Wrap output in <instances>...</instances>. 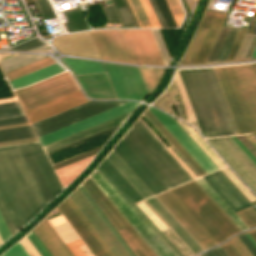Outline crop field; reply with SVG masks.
<instances>
[{
  "label": "crop field",
  "instance_id": "56",
  "mask_svg": "<svg viewBox=\"0 0 256 256\" xmlns=\"http://www.w3.org/2000/svg\"><path fill=\"white\" fill-rule=\"evenodd\" d=\"M0 213H1L5 223L7 225L11 235L14 234L15 232H17L13 223H12V221H11V219H10V217H9V215H8V213H7V211H6V209H5V207H4V205H3V203H2V201H1V199H0Z\"/></svg>",
  "mask_w": 256,
  "mask_h": 256
},
{
  "label": "crop field",
  "instance_id": "15",
  "mask_svg": "<svg viewBox=\"0 0 256 256\" xmlns=\"http://www.w3.org/2000/svg\"><path fill=\"white\" fill-rule=\"evenodd\" d=\"M71 199L90 222L108 248L115 256H129L122 245L118 242L112 232L108 229L99 215L95 212L89 202L85 199L82 193L77 188L70 195Z\"/></svg>",
  "mask_w": 256,
  "mask_h": 256
},
{
  "label": "crop field",
  "instance_id": "57",
  "mask_svg": "<svg viewBox=\"0 0 256 256\" xmlns=\"http://www.w3.org/2000/svg\"><path fill=\"white\" fill-rule=\"evenodd\" d=\"M230 241L236 247V249L241 253L242 256H252L250 252L246 249V247L242 244V242L238 239L237 236H235Z\"/></svg>",
  "mask_w": 256,
  "mask_h": 256
},
{
  "label": "crop field",
  "instance_id": "12",
  "mask_svg": "<svg viewBox=\"0 0 256 256\" xmlns=\"http://www.w3.org/2000/svg\"><path fill=\"white\" fill-rule=\"evenodd\" d=\"M1 150L35 215L46 204L17 146L2 147Z\"/></svg>",
  "mask_w": 256,
  "mask_h": 256
},
{
  "label": "crop field",
  "instance_id": "18",
  "mask_svg": "<svg viewBox=\"0 0 256 256\" xmlns=\"http://www.w3.org/2000/svg\"><path fill=\"white\" fill-rule=\"evenodd\" d=\"M138 104L139 103H137V102H129L127 104L121 105L119 107H116L109 111L103 112L96 116L90 117L88 119H85L78 123L72 124L65 128L59 129V130L49 133L47 135L41 136L38 139H39L41 145L43 146L45 144H48V143L58 140L60 138L66 137L68 135H71L73 133H76V132L86 129L88 127H91V126L101 123L103 121L109 120L111 118H114V117L124 114L126 112H129V111L135 109Z\"/></svg>",
  "mask_w": 256,
  "mask_h": 256
},
{
  "label": "crop field",
  "instance_id": "45",
  "mask_svg": "<svg viewBox=\"0 0 256 256\" xmlns=\"http://www.w3.org/2000/svg\"><path fill=\"white\" fill-rule=\"evenodd\" d=\"M21 115L24 114L17 101L0 104V119Z\"/></svg>",
  "mask_w": 256,
  "mask_h": 256
},
{
  "label": "crop field",
  "instance_id": "52",
  "mask_svg": "<svg viewBox=\"0 0 256 256\" xmlns=\"http://www.w3.org/2000/svg\"><path fill=\"white\" fill-rule=\"evenodd\" d=\"M246 31L247 30H243V29L239 30V32H238V34H237V36H236V38L233 42V45H232V47H231V49H230V51L227 55L226 60H233L234 59Z\"/></svg>",
  "mask_w": 256,
  "mask_h": 256
},
{
  "label": "crop field",
  "instance_id": "23",
  "mask_svg": "<svg viewBox=\"0 0 256 256\" xmlns=\"http://www.w3.org/2000/svg\"><path fill=\"white\" fill-rule=\"evenodd\" d=\"M32 231L51 256H73L46 218Z\"/></svg>",
  "mask_w": 256,
  "mask_h": 256
},
{
  "label": "crop field",
  "instance_id": "48",
  "mask_svg": "<svg viewBox=\"0 0 256 256\" xmlns=\"http://www.w3.org/2000/svg\"><path fill=\"white\" fill-rule=\"evenodd\" d=\"M236 214L248 228L256 226V212L252 207L238 211Z\"/></svg>",
  "mask_w": 256,
  "mask_h": 256
},
{
  "label": "crop field",
  "instance_id": "10",
  "mask_svg": "<svg viewBox=\"0 0 256 256\" xmlns=\"http://www.w3.org/2000/svg\"><path fill=\"white\" fill-rule=\"evenodd\" d=\"M103 64L118 99L143 100L148 95L137 67Z\"/></svg>",
  "mask_w": 256,
  "mask_h": 256
},
{
  "label": "crop field",
  "instance_id": "5",
  "mask_svg": "<svg viewBox=\"0 0 256 256\" xmlns=\"http://www.w3.org/2000/svg\"><path fill=\"white\" fill-rule=\"evenodd\" d=\"M90 177L156 256H178L97 169Z\"/></svg>",
  "mask_w": 256,
  "mask_h": 256
},
{
  "label": "crop field",
  "instance_id": "29",
  "mask_svg": "<svg viewBox=\"0 0 256 256\" xmlns=\"http://www.w3.org/2000/svg\"><path fill=\"white\" fill-rule=\"evenodd\" d=\"M28 146L55 197L61 191L62 188L51 166L49 165L39 143H29Z\"/></svg>",
  "mask_w": 256,
  "mask_h": 256
},
{
  "label": "crop field",
  "instance_id": "43",
  "mask_svg": "<svg viewBox=\"0 0 256 256\" xmlns=\"http://www.w3.org/2000/svg\"><path fill=\"white\" fill-rule=\"evenodd\" d=\"M65 200L73 209V211L76 213V215L79 217V219L82 221V223L85 225V227L88 229V231L91 233V235L95 238V240L98 242V244L107 254V256H114L111 253V251L107 248V246L104 244V242L101 240V238L98 236V234L95 232V230L92 228V226L89 224V222L85 219V217L79 211V209L76 207V205L73 203V201L70 199V197L68 196Z\"/></svg>",
  "mask_w": 256,
  "mask_h": 256
},
{
  "label": "crop field",
  "instance_id": "28",
  "mask_svg": "<svg viewBox=\"0 0 256 256\" xmlns=\"http://www.w3.org/2000/svg\"><path fill=\"white\" fill-rule=\"evenodd\" d=\"M87 94L95 98H114L104 74L78 77Z\"/></svg>",
  "mask_w": 256,
  "mask_h": 256
},
{
  "label": "crop field",
  "instance_id": "50",
  "mask_svg": "<svg viewBox=\"0 0 256 256\" xmlns=\"http://www.w3.org/2000/svg\"><path fill=\"white\" fill-rule=\"evenodd\" d=\"M151 31H152L153 36L155 38V41L157 43V46H158V49H159L160 54L162 56V59L164 61V64L168 65L171 57H170V55H169V53L167 51V48H166V46H165V44H164V42L162 40V37H161V35H160L158 30H151Z\"/></svg>",
  "mask_w": 256,
  "mask_h": 256
},
{
  "label": "crop field",
  "instance_id": "63",
  "mask_svg": "<svg viewBox=\"0 0 256 256\" xmlns=\"http://www.w3.org/2000/svg\"><path fill=\"white\" fill-rule=\"evenodd\" d=\"M37 141L36 138L0 143V146Z\"/></svg>",
  "mask_w": 256,
  "mask_h": 256
},
{
  "label": "crop field",
  "instance_id": "35",
  "mask_svg": "<svg viewBox=\"0 0 256 256\" xmlns=\"http://www.w3.org/2000/svg\"><path fill=\"white\" fill-rule=\"evenodd\" d=\"M63 69L59 67L56 63L49 65L47 67H44L42 69H39L37 71H34L30 74H27L25 76H22L20 78H17L15 80L10 81V85L12 89L27 86L29 84H32L34 82H37L41 79H44L46 77H49L53 74H56Z\"/></svg>",
  "mask_w": 256,
  "mask_h": 256
},
{
  "label": "crop field",
  "instance_id": "54",
  "mask_svg": "<svg viewBox=\"0 0 256 256\" xmlns=\"http://www.w3.org/2000/svg\"><path fill=\"white\" fill-rule=\"evenodd\" d=\"M1 256H29L20 243L15 244Z\"/></svg>",
  "mask_w": 256,
  "mask_h": 256
},
{
  "label": "crop field",
  "instance_id": "46",
  "mask_svg": "<svg viewBox=\"0 0 256 256\" xmlns=\"http://www.w3.org/2000/svg\"><path fill=\"white\" fill-rule=\"evenodd\" d=\"M0 196H1L5 206L7 208V210L9 212L17 230H19L23 225H22V223H21V221H20V219H19V217H18V215H17V213H16V211H15V209H14L6 191H5V189L3 188L1 182H0Z\"/></svg>",
  "mask_w": 256,
  "mask_h": 256
},
{
  "label": "crop field",
  "instance_id": "39",
  "mask_svg": "<svg viewBox=\"0 0 256 256\" xmlns=\"http://www.w3.org/2000/svg\"><path fill=\"white\" fill-rule=\"evenodd\" d=\"M35 137L30 126L0 129V142Z\"/></svg>",
  "mask_w": 256,
  "mask_h": 256
},
{
  "label": "crop field",
  "instance_id": "71",
  "mask_svg": "<svg viewBox=\"0 0 256 256\" xmlns=\"http://www.w3.org/2000/svg\"><path fill=\"white\" fill-rule=\"evenodd\" d=\"M199 256H205V254L203 253V254H201V255H199Z\"/></svg>",
  "mask_w": 256,
  "mask_h": 256
},
{
  "label": "crop field",
  "instance_id": "24",
  "mask_svg": "<svg viewBox=\"0 0 256 256\" xmlns=\"http://www.w3.org/2000/svg\"><path fill=\"white\" fill-rule=\"evenodd\" d=\"M57 208L79 234L85 245L89 248L94 256H106L65 200Z\"/></svg>",
  "mask_w": 256,
  "mask_h": 256
},
{
  "label": "crop field",
  "instance_id": "69",
  "mask_svg": "<svg viewBox=\"0 0 256 256\" xmlns=\"http://www.w3.org/2000/svg\"><path fill=\"white\" fill-rule=\"evenodd\" d=\"M246 236L250 239V241L254 244V246L256 247V243L252 240V238L248 235V233L246 234Z\"/></svg>",
  "mask_w": 256,
  "mask_h": 256
},
{
  "label": "crop field",
  "instance_id": "33",
  "mask_svg": "<svg viewBox=\"0 0 256 256\" xmlns=\"http://www.w3.org/2000/svg\"><path fill=\"white\" fill-rule=\"evenodd\" d=\"M106 158L126 178V180L139 192V194L144 199L152 196V194L148 191V189L137 179V177L127 168V166L116 156V154L112 150Z\"/></svg>",
  "mask_w": 256,
  "mask_h": 256
},
{
  "label": "crop field",
  "instance_id": "22",
  "mask_svg": "<svg viewBox=\"0 0 256 256\" xmlns=\"http://www.w3.org/2000/svg\"><path fill=\"white\" fill-rule=\"evenodd\" d=\"M84 102H86V99L80 90H78L38 107L27 110L25 111V114L32 124Z\"/></svg>",
  "mask_w": 256,
  "mask_h": 256
},
{
  "label": "crop field",
  "instance_id": "64",
  "mask_svg": "<svg viewBox=\"0 0 256 256\" xmlns=\"http://www.w3.org/2000/svg\"><path fill=\"white\" fill-rule=\"evenodd\" d=\"M237 144L238 146L250 157V159L256 164L255 158L247 151V149L238 141V139L235 136L231 137Z\"/></svg>",
  "mask_w": 256,
  "mask_h": 256
},
{
  "label": "crop field",
  "instance_id": "16",
  "mask_svg": "<svg viewBox=\"0 0 256 256\" xmlns=\"http://www.w3.org/2000/svg\"><path fill=\"white\" fill-rule=\"evenodd\" d=\"M137 63L164 65L150 30H123Z\"/></svg>",
  "mask_w": 256,
  "mask_h": 256
},
{
  "label": "crop field",
  "instance_id": "65",
  "mask_svg": "<svg viewBox=\"0 0 256 256\" xmlns=\"http://www.w3.org/2000/svg\"><path fill=\"white\" fill-rule=\"evenodd\" d=\"M206 254V256H219V254L215 251V249H211V250H208L206 252H204Z\"/></svg>",
  "mask_w": 256,
  "mask_h": 256
},
{
  "label": "crop field",
  "instance_id": "20",
  "mask_svg": "<svg viewBox=\"0 0 256 256\" xmlns=\"http://www.w3.org/2000/svg\"><path fill=\"white\" fill-rule=\"evenodd\" d=\"M120 126V125H119ZM119 126L47 153L51 165L105 144Z\"/></svg>",
  "mask_w": 256,
  "mask_h": 256
},
{
  "label": "crop field",
  "instance_id": "27",
  "mask_svg": "<svg viewBox=\"0 0 256 256\" xmlns=\"http://www.w3.org/2000/svg\"><path fill=\"white\" fill-rule=\"evenodd\" d=\"M48 221L51 223L52 226L66 222L62 215L48 219ZM53 227L66 244L79 238L78 235L71 228V226L68 224V222ZM80 245H83L81 239L67 244V246L75 256H88Z\"/></svg>",
  "mask_w": 256,
  "mask_h": 256
},
{
  "label": "crop field",
  "instance_id": "26",
  "mask_svg": "<svg viewBox=\"0 0 256 256\" xmlns=\"http://www.w3.org/2000/svg\"><path fill=\"white\" fill-rule=\"evenodd\" d=\"M130 113L131 112L126 113L124 115H121L119 117H116L114 119H111L109 121L103 122V123L98 124L96 126H93L91 128H88L86 130H83L81 132L73 134V135L68 136L66 138H63L61 140L55 141V142L50 143L48 145H45V146H43V148H44L45 152L47 153L51 150L59 148V147H61L63 145H66L68 143L74 142L76 140L82 139L84 137L90 136V135L95 134L97 132H100V131H103V130L108 129L110 127H113L115 125H118V124L122 123L130 115Z\"/></svg>",
  "mask_w": 256,
  "mask_h": 256
},
{
  "label": "crop field",
  "instance_id": "49",
  "mask_svg": "<svg viewBox=\"0 0 256 256\" xmlns=\"http://www.w3.org/2000/svg\"><path fill=\"white\" fill-rule=\"evenodd\" d=\"M230 28L222 27L206 62L214 61Z\"/></svg>",
  "mask_w": 256,
  "mask_h": 256
},
{
  "label": "crop field",
  "instance_id": "1",
  "mask_svg": "<svg viewBox=\"0 0 256 256\" xmlns=\"http://www.w3.org/2000/svg\"><path fill=\"white\" fill-rule=\"evenodd\" d=\"M178 72L203 137L237 134L213 69Z\"/></svg>",
  "mask_w": 256,
  "mask_h": 256
},
{
  "label": "crop field",
  "instance_id": "55",
  "mask_svg": "<svg viewBox=\"0 0 256 256\" xmlns=\"http://www.w3.org/2000/svg\"><path fill=\"white\" fill-rule=\"evenodd\" d=\"M43 44L38 37L34 38V39H31L29 41H26L24 43H21L17 46H14L12 48H9V49H16V50H28L30 48H33V47H36L38 45H41Z\"/></svg>",
  "mask_w": 256,
  "mask_h": 256
},
{
  "label": "crop field",
  "instance_id": "42",
  "mask_svg": "<svg viewBox=\"0 0 256 256\" xmlns=\"http://www.w3.org/2000/svg\"><path fill=\"white\" fill-rule=\"evenodd\" d=\"M206 30L207 29H203V28H198L181 64H189V63H192L195 56H196V53L199 49V46L203 40V37L206 33ZM208 31V30H207Z\"/></svg>",
  "mask_w": 256,
  "mask_h": 256
},
{
  "label": "crop field",
  "instance_id": "36",
  "mask_svg": "<svg viewBox=\"0 0 256 256\" xmlns=\"http://www.w3.org/2000/svg\"><path fill=\"white\" fill-rule=\"evenodd\" d=\"M61 61L72 70L74 75L105 72L99 62L74 58H61Z\"/></svg>",
  "mask_w": 256,
  "mask_h": 256
},
{
  "label": "crop field",
  "instance_id": "47",
  "mask_svg": "<svg viewBox=\"0 0 256 256\" xmlns=\"http://www.w3.org/2000/svg\"><path fill=\"white\" fill-rule=\"evenodd\" d=\"M239 29L231 28L215 61L224 60ZM226 60V59H225Z\"/></svg>",
  "mask_w": 256,
  "mask_h": 256
},
{
  "label": "crop field",
  "instance_id": "8",
  "mask_svg": "<svg viewBox=\"0 0 256 256\" xmlns=\"http://www.w3.org/2000/svg\"><path fill=\"white\" fill-rule=\"evenodd\" d=\"M127 102L123 101H90L50 118L32 124L37 137L78 122L90 116L109 110Z\"/></svg>",
  "mask_w": 256,
  "mask_h": 256
},
{
  "label": "crop field",
  "instance_id": "40",
  "mask_svg": "<svg viewBox=\"0 0 256 256\" xmlns=\"http://www.w3.org/2000/svg\"><path fill=\"white\" fill-rule=\"evenodd\" d=\"M52 63H54V60L49 58V57H47L45 59H42V60H39V61L34 62L32 64H29L27 66L21 67L19 69L11 71V72H8L5 75H6L7 79H8V81H10L12 79L20 77L22 75H25L27 73H30V72H32L34 70H37L39 68H42V67L47 66V65L52 64Z\"/></svg>",
  "mask_w": 256,
  "mask_h": 256
},
{
  "label": "crop field",
  "instance_id": "14",
  "mask_svg": "<svg viewBox=\"0 0 256 256\" xmlns=\"http://www.w3.org/2000/svg\"><path fill=\"white\" fill-rule=\"evenodd\" d=\"M112 150L153 195L167 190L164 184L156 177V175L133 151V149L123 140V138Z\"/></svg>",
  "mask_w": 256,
  "mask_h": 256
},
{
  "label": "crop field",
  "instance_id": "66",
  "mask_svg": "<svg viewBox=\"0 0 256 256\" xmlns=\"http://www.w3.org/2000/svg\"><path fill=\"white\" fill-rule=\"evenodd\" d=\"M248 233L250 234V236L254 239V241L256 242V229L248 231Z\"/></svg>",
  "mask_w": 256,
  "mask_h": 256
},
{
  "label": "crop field",
  "instance_id": "11",
  "mask_svg": "<svg viewBox=\"0 0 256 256\" xmlns=\"http://www.w3.org/2000/svg\"><path fill=\"white\" fill-rule=\"evenodd\" d=\"M156 198L203 250L217 244L212 236L200 225V223L169 190L156 196Z\"/></svg>",
  "mask_w": 256,
  "mask_h": 256
},
{
  "label": "crop field",
  "instance_id": "62",
  "mask_svg": "<svg viewBox=\"0 0 256 256\" xmlns=\"http://www.w3.org/2000/svg\"><path fill=\"white\" fill-rule=\"evenodd\" d=\"M214 14L215 13H213V12L206 11L205 15H204V17H203V19H202V21H201L199 26L208 28V26H209V24H210V22H211V20H212V18L214 16Z\"/></svg>",
  "mask_w": 256,
  "mask_h": 256
},
{
  "label": "crop field",
  "instance_id": "38",
  "mask_svg": "<svg viewBox=\"0 0 256 256\" xmlns=\"http://www.w3.org/2000/svg\"><path fill=\"white\" fill-rule=\"evenodd\" d=\"M47 56L41 55H27V54H16L12 57L0 61V65L4 73L24 66L26 64L32 63L39 59L45 58Z\"/></svg>",
  "mask_w": 256,
  "mask_h": 256
},
{
  "label": "crop field",
  "instance_id": "68",
  "mask_svg": "<svg viewBox=\"0 0 256 256\" xmlns=\"http://www.w3.org/2000/svg\"><path fill=\"white\" fill-rule=\"evenodd\" d=\"M14 100H16V98L0 100V102H7V101H14Z\"/></svg>",
  "mask_w": 256,
  "mask_h": 256
},
{
  "label": "crop field",
  "instance_id": "31",
  "mask_svg": "<svg viewBox=\"0 0 256 256\" xmlns=\"http://www.w3.org/2000/svg\"><path fill=\"white\" fill-rule=\"evenodd\" d=\"M46 203H48L51 199H53V195L41 173V171L39 170L27 144H21V145H18Z\"/></svg>",
  "mask_w": 256,
  "mask_h": 256
},
{
  "label": "crop field",
  "instance_id": "58",
  "mask_svg": "<svg viewBox=\"0 0 256 256\" xmlns=\"http://www.w3.org/2000/svg\"><path fill=\"white\" fill-rule=\"evenodd\" d=\"M25 122H27L25 116L8 118V119L0 120V126L19 124V123H25Z\"/></svg>",
  "mask_w": 256,
  "mask_h": 256
},
{
  "label": "crop field",
  "instance_id": "34",
  "mask_svg": "<svg viewBox=\"0 0 256 256\" xmlns=\"http://www.w3.org/2000/svg\"><path fill=\"white\" fill-rule=\"evenodd\" d=\"M99 166L134 203L143 200V198L137 193V191L124 179V177L111 165V163L106 158Z\"/></svg>",
  "mask_w": 256,
  "mask_h": 256
},
{
  "label": "crop field",
  "instance_id": "17",
  "mask_svg": "<svg viewBox=\"0 0 256 256\" xmlns=\"http://www.w3.org/2000/svg\"><path fill=\"white\" fill-rule=\"evenodd\" d=\"M149 109L164 124V126L174 135L183 147L193 156V158L209 173L218 169L213 161L201 150V148L189 137V135L170 116L159 112L151 107Z\"/></svg>",
  "mask_w": 256,
  "mask_h": 256
},
{
  "label": "crop field",
  "instance_id": "60",
  "mask_svg": "<svg viewBox=\"0 0 256 256\" xmlns=\"http://www.w3.org/2000/svg\"><path fill=\"white\" fill-rule=\"evenodd\" d=\"M239 239L243 242V244L247 247V249L252 253L253 256H256V249L255 247L250 243V241L246 238L244 233L238 235Z\"/></svg>",
  "mask_w": 256,
  "mask_h": 256
},
{
  "label": "crop field",
  "instance_id": "9",
  "mask_svg": "<svg viewBox=\"0 0 256 256\" xmlns=\"http://www.w3.org/2000/svg\"><path fill=\"white\" fill-rule=\"evenodd\" d=\"M228 165L256 193V165L230 137L207 139Z\"/></svg>",
  "mask_w": 256,
  "mask_h": 256
},
{
  "label": "crop field",
  "instance_id": "61",
  "mask_svg": "<svg viewBox=\"0 0 256 256\" xmlns=\"http://www.w3.org/2000/svg\"><path fill=\"white\" fill-rule=\"evenodd\" d=\"M0 236L3 240V242L11 236L1 215H0Z\"/></svg>",
  "mask_w": 256,
  "mask_h": 256
},
{
  "label": "crop field",
  "instance_id": "30",
  "mask_svg": "<svg viewBox=\"0 0 256 256\" xmlns=\"http://www.w3.org/2000/svg\"><path fill=\"white\" fill-rule=\"evenodd\" d=\"M143 114L169 141V143L178 151V153L187 161V163L196 171L199 176L206 174L201 166L189 155V153L177 142V140L165 129V127L153 116V114L148 109Z\"/></svg>",
  "mask_w": 256,
  "mask_h": 256
},
{
  "label": "crop field",
  "instance_id": "32",
  "mask_svg": "<svg viewBox=\"0 0 256 256\" xmlns=\"http://www.w3.org/2000/svg\"><path fill=\"white\" fill-rule=\"evenodd\" d=\"M227 15L216 13L193 63L205 62Z\"/></svg>",
  "mask_w": 256,
  "mask_h": 256
},
{
  "label": "crop field",
  "instance_id": "37",
  "mask_svg": "<svg viewBox=\"0 0 256 256\" xmlns=\"http://www.w3.org/2000/svg\"><path fill=\"white\" fill-rule=\"evenodd\" d=\"M196 181L214 200V202L222 209V211L230 218V220L237 226L240 231L247 229L243 222L234 214V212L225 204V202L215 193V191L206 183V181L202 177L196 179Z\"/></svg>",
  "mask_w": 256,
  "mask_h": 256
},
{
  "label": "crop field",
  "instance_id": "4",
  "mask_svg": "<svg viewBox=\"0 0 256 256\" xmlns=\"http://www.w3.org/2000/svg\"><path fill=\"white\" fill-rule=\"evenodd\" d=\"M171 192L218 243L239 232L195 180L173 188Z\"/></svg>",
  "mask_w": 256,
  "mask_h": 256
},
{
  "label": "crop field",
  "instance_id": "59",
  "mask_svg": "<svg viewBox=\"0 0 256 256\" xmlns=\"http://www.w3.org/2000/svg\"><path fill=\"white\" fill-rule=\"evenodd\" d=\"M221 247L228 256H241L230 241L221 245Z\"/></svg>",
  "mask_w": 256,
  "mask_h": 256
},
{
  "label": "crop field",
  "instance_id": "7",
  "mask_svg": "<svg viewBox=\"0 0 256 256\" xmlns=\"http://www.w3.org/2000/svg\"><path fill=\"white\" fill-rule=\"evenodd\" d=\"M78 90L68 72L51 77L28 87L15 90L14 93L25 111L65 94Z\"/></svg>",
  "mask_w": 256,
  "mask_h": 256
},
{
  "label": "crop field",
  "instance_id": "3",
  "mask_svg": "<svg viewBox=\"0 0 256 256\" xmlns=\"http://www.w3.org/2000/svg\"><path fill=\"white\" fill-rule=\"evenodd\" d=\"M123 138L168 189L192 180L139 119Z\"/></svg>",
  "mask_w": 256,
  "mask_h": 256
},
{
  "label": "crop field",
  "instance_id": "25",
  "mask_svg": "<svg viewBox=\"0 0 256 256\" xmlns=\"http://www.w3.org/2000/svg\"><path fill=\"white\" fill-rule=\"evenodd\" d=\"M146 201L170 226V228L181 238V240L191 249V251L195 255L203 251L155 197L146 199Z\"/></svg>",
  "mask_w": 256,
  "mask_h": 256
},
{
  "label": "crop field",
  "instance_id": "21",
  "mask_svg": "<svg viewBox=\"0 0 256 256\" xmlns=\"http://www.w3.org/2000/svg\"><path fill=\"white\" fill-rule=\"evenodd\" d=\"M203 178L234 212L251 206L247 199L236 189V187L220 170L205 175Z\"/></svg>",
  "mask_w": 256,
  "mask_h": 256
},
{
  "label": "crop field",
  "instance_id": "53",
  "mask_svg": "<svg viewBox=\"0 0 256 256\" xmlns=\"http://www.w3.org/2000/svg\"><path fill=\"white\" fill-rule=\"evenodd\" d=\"M26 237L28 238V240L31 242V244L34 246V248L38 251V253L41 256H50L49 253L42 246V244L39 242V240L36 238V236L33 234L32 231Z\"/></svg>",
  "mask_w": 256,
  "mask_h": 256
},
{
  "label": "crop field",
  "instance_id": "44",
  "mask_svg": "<svg viewBox=\"0 0 256 256\" xmlns=\"http://www.w3.org/2000/svg\"><path fill=\"white\" fill-rule=\"evenodd\" d=\"M80 191L83 193V195L86 197V199L90 202V204L93 206V208L96 210V212L100 215V217L103 219V221L106 223V225L110 228V230L113 232V234L116 236V238L119 240V242L123 245V247L126 249V251L129 253L130 256H134V254L130 251V249L127 247V245L124 243V241L121 239V237L118 235V233L115 231V229L112 227V225L109 223V221L106 219V217L103 215V213L100 211V209L97 207V205L94 203V201L91 199V197L88 195V193L85 191V189L81 186L78 187Z\"/></svg>",
  "mask_w": 256,
  "mask_h": 256
},
{
  "label": "crop field",
  "instance_id": "70",
  "mask_svg": "<svg viewBox=\"0 0 256 256\" xmlns=\"http://www.w3.org/2000/svg\"><path fill=\"white\" fill-rule=\"evenodd\" d=\"M251 58H256V49H255V51H254V53H253Z\"/></svg>",
  "mask_w": 256,
  "mask_h": 256
},
{
  "label": "crop field",
  "instance_id": "41",
  "mask_svg": "<svg viewBox=\"0 0 256 256\" xmlns=\"http://www.w3.org/2000/svg\"><path fill=\"white\" fill-rule=\"evenodd\" d=\"M105 178L120 192V194L135 208V210L150 224V226L164 239V241L179 255L183 256L177 248L160 232V230L142 213V211L124 194V192L107 176V174L98 166L97 168Z\"/></svg>",
  "mask_w": 256,
  "mask_h": 256
},
{
  "label": "crop field",
  "instance_id": "51",
  "mask_svg": "<svg viewBox=\"0 0 256 256\" xmlns=\"http://www.w3.org/2000/svg\"><path fill=\"white\" fill-rule=\"evenodd\" d=\"M101 148H102V146H101V147H98V148H96V149H93V150H91V151H88V152H86V153H83V154H81V155H78V156H75V157H73V158H70V159H68V160H65V161H63V162H60V163H58V164H55V165H53V168H54V170H56V169H58V168H61V167H63V166H66V165H68V164H71V163H73V162H76V161H78V160H80V159H83V158H85V157H88V156H90V155H93V154L97 153Z\"/></svg>",
  "mask_w": 256,
  "mask_h": 256
},
{
  "label": "crop field",
  "instance_id": "6",
  "mask_svg": "<svg viewBox=\"0 0 256 256\" xmlns=\"http://www.w3.org/2000/svg\"><path fill=\"white\" fill-rule=\"evenodd\" d=\"M82 185L136 256H155L90 177Z\"/></svg>",
  "mask_w": 256,
  "mask_h": 256
},
{
  "label": "crop field",
  "instance_id": "67",
  "mask_svg": "<svg viewBox=\"0 0 256 256\" xmlns=\"http://www.w3.org/2000/svg\"><path fill=\"white\" fill-rule=\"evenodd\" d=\"M215 249L220 254V256H227L220 246L216 247Z\"/></svg>",
  "mask_w": 256,
  "mask_h": 256
},
{
  "label": "crop field",
  "instance_id": "2",
  "mask_svg": "<svg viewBox=\"0 0 256 256\" xmlns=\"http://www.w3.org/2000/svg\"><path fill=\"white\" fill-rule=\"evenodd\" d=\"M213 69L237 133L256 132V76L252 66Z\"/></svg>",
  "mask_w": 256,
  "mask_h": 256
},
{
  "label": "crop field",
  "instance_id": "19",
  "mask_svg": "<svg viewBox=\"0 0 256 256\" xmlns=\"http://www.w3.org/2000/svg\"><path fill=\"white\" fill-rule=\"evenodd\" d=\"M0 180L5 187L23 225L34 217L18 183L16 182L1 150H0Z\"/></svg>",
  "mask_w": 256,
  "mask_h": 256
},
{
  "label": "crop field",
  "instance_id": "13",
  "mask_svg": "<svg viewBox=\"0 0 256 256\" xmlns=\"http://www.w3.org/2000/svg\"><path fill=\"white\" fill-rule=\"evenodd\" d=\"M90 32L102 59L136 63L122 30Z\"/></svg>",
  "mask_w": 256,
  "mask_h": 256
}]
</instances>
